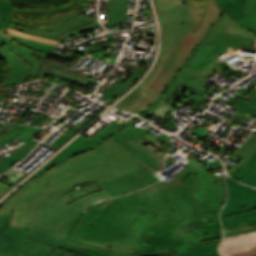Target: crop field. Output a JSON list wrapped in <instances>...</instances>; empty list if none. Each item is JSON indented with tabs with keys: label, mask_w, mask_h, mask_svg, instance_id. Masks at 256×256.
<instances>
[{
	"label": "crop field",
	"mask_w": 256,
	"mask_h": 256,
	"mask_svg": "<svg viewBox=\"0 0 256 256\" xmlns=\"http://www.w3.org/2000/svg\"><path fill=\"white\" fill-rule=\"evenodd\" d=\"M248 105L249 103L238 100V102L232 107V109L236 110L234 114L253 121L254 119H252L251 117L253 116L252 114L256 111V108L250 107Z\"/></svg>",
	"instance_id": "obj_31"
},
{
	"label": "crop field",
	"mask_w": 256,
	"mask_h": 256,
	"mask_svg": "<svg viewBox=\"0 0 256 256\" xmlns=\"http://www.w3.org/2000/svg\"><path fill=\"white\" fill-rule=\"evenodd\" d=\"M80 209L73 204L67 206L50 195L40 204L35 213L33 230L62 238L72 217Z\"/></svg>",
	"instance_id": "obj_9"
},
{
	"label": "crop field",
	"mask_w": 256,
	"mask_h": 256,
	"mask_svg": "<svg viewBox=\"0 0 256 256\" xmlns=\"http://www.w3.org/2000/svg\"><path fill=\"white\" fill-rule=\"evenodd\" d=\"M60 253H62V254H60ZM51 256H78V254L55 248V250L51 254Z\"/></svg>",
	"instance_id": "obj_43"
},
{
	"label": "crop field",
	"mask_w": 256,
	"mask_h": 256,
	"mask_svg": "<svg viewBox=\"0 0 256 256\" xmlns=\"http://www.w3.org/2000/svg\"><path fill=\"white\" fill-rule=\"evenodd\" d=\"M14 210L0 216V254L19 256L34 231L10 226Z\"/></svg>",
	"instance_id": "obj_12"
},
{
	"label": "crop field",
	"mask_w": 256,
	"mask_h": 256,
	"mask_svg": "<svg viewBox=\"0 0 256 256\" xmlns=\"http://www.w3.org/2000/svg\"><path fill=\"white\" fill-rule=\"evenodd\" d=\"M256 230V224L251 225L249 227H244V228H238V229H232V230H227L224 231V236H231V235H237V234H242V233H247V232H251V231H255Z\"/></svg>",
	"instance_id": "obj_40"
},
{
	"label": "crop field",
	"mask_w": 256,
	"mask_h": 256,
	"mask_svg": "<svg viewBox=\"0 0 256 256\" xmlns=\"http://www.w3.org/2000/svg\"><path fill=\"white\" fill-rule=\"evenodd\" d=\"M110 194L108 193L107 190H103V191H99V192H95L92 193L86 197H83L75 202H73L74 204L80 206V207H88L96 202L105 200L107 198H110ZM70 204V203H69ZM68 205V204H67Z\"/></svg>",
	"instance_id": "obj_30"
},
{
	"label": "crop field",
	"mask_w": 256,
	"mask_h": 256,
	"mask_svg": "<svg viewBox=\"0 0 256 256\" xmlns=\"http://www.w3.org/2000/svg\"><path fill=\"white\" fill-rule=\"evenodd\" d=\"M255 246L256 231L243 235L223 238L219 246V252L222 256H229L232 254L246 251Z\"/></svg>",
	"instance_id": "obj_19"
},
{
	"label": "crop field",
	"mask_w": 256,
	"mask_h": 256,
	"mask_svg": "<svg viewBox=\"0 0 256 256\" xmlns=\"http://www.w3.org/2000/svg\"><path fill=\"white\" fill-rule=\"evenodd\" d=\"M4 31L15 34V35H18V36L26 37V38H29V39H33V40H36V41L49 43V44H53V45H59L60 43H62V42H58L56 40L46 39V38H43V37H38V36H35V35L20 32V31H17L15 29L8 28V27H6V29Z\"/></svg>",
	"instance_id": "obj_34"
},
{
	"label": "crop field",
	"mask_w": 256,
	"mask_h": 256,
	"mask_svg": "<svg viewBox=\"0 0 256 256\" xmlns=\"http://www.w3.org/2000/svg\"><path fill=\"white\" fill-rule=\"evenodd\" d=\"M79 256H81V255H79Z\"/></svg>",
	"instance_id": "obj_63"
},
{
	"label": "crop field",
	"mask_w": 256,
	"mask_h": 256,
	"mask_svg": "<svg viewBox=\"0 0 256 256\" xmlns=\"http://www.w3.org/2000/svg\"><path fill=\"white\" fill-rule=\"evenodd\" d=\"M210 7L204 18L203 24L200 26L196 33H192L201 23L203 10H193L187 5L178 6V11L184 22V31L193 35L197 39L201 40L204 38L206 33L210 30L214 22L222 15L221 10L215 5L213 0H208Z\"/></svg>",
	"instance_id": "obj_13"
},
{
	"label": "crop field",
	"mask_w": 256,
	"mask_h": 256,
	"mask_svg": "<svg viewBox=\"0 0 256 256\" xmlns=\"http://www.w3.org/2000/svg\"><path fill=\"white\" fill-rule=\"evenodd\" d=\"M217 245L216 244H209V245H204L202 247H198L196 249L178 254L176 256H201V255H205L211 252H216L217 251Z\"/></svg>",
	"instance_id": "obj_33"
},
{
	"label": "crop field",
	"mask_w": 256,
	"mask_h": 256,
	"mask_svg": "<svg viewBox=\"0 0 256 256\" xmlns=\"http://www.w3.org/2000/svg\"><path fill=\"white\" fill-rule=\"evenodd\" d=\"M245 101H247V102L251 103V104H250V106H254V107H256V103H255V102H251V101H248V100H246V99H245Z\"/></svg>",
	"instance_id": "obj_54"
},
{
	"label": "crop field",
	"mask_w": 256,
	"mask_h": 256,
	"mask_svg": "<svg viewBox=\"0 0 256 256\" xmlns=\"http://www.w3.org/2000/svg\"><path fill=\"white\" fill-rule=\"evenodd\" d=\"M237 25L223 12V15L216 21L184 66L211 74H214L216 69L231 73L240 72L238 69H232L227 64L221 63L216 58L233 48L256 51V49L250 48L254 39L241 37L242 34L239 33L225 32L226 27Z\"/></svg>",
	"instance_id": "obj_6"
},
{
	"label": "crop field",
	"mask_w": 256,
	"mask_h": 256,
	"mask_svg": "<svg viewBox=\"0 0 256 256\" xmlns=\"http://www.w3.org/2000/svg\"><path fill=\"white\" fill-rule=\"evenodd\" d=\"M54 250V247H51L49 245H45V247L40 252L39 256H49L52 251Z\"/></svg>",
	"instance_id": "obj_44"
},
{
	"label": "crop field",
	"mask_w": 256,
	"mask_h": 256,
	"mask_svg": "<svg viewBox=\"0 0 256 256\" xmlns=\"http://www.w3.org/2000/svg\"><path fill=\"white\" fill-rule=\"evenodd\" d=\"M209 5L207 6V9H208ZM207 11V10H206Z\"/></svg>",
	"instance_id": "obj_59"
},
{
	"label": "crop field",
	"mask_w": 256,
	"mask_h": 256,
	"mask_svg": "<svg viewBox=\"0 0 256 256\" xmlns=\"http://www.w3.org/2000/svg\"><path fill=\"white\" fill-rule=\"evenodd\" d=\"M206 75V73L183 66L160 99L166 102L180 84L190 89L196 88Z\"/></svg>",
	"instance_id": "obj_18"
},
{
	"label": "crop field",
	"mask_w": 256,
	"mask_h": 256,
	"mask_svg": "<svg viewBox=\"0 0 256 256\" xmlns=\"http://www.w3.org/2000/svg\"><path fill=\"white\" fill-rule=\"evenodd\" d=\"M12 2L0 0V26L8 16L11 9Z\"/></svg>",
	"instance_id": "obj_39"
},
{
	"label": "crop field",
	"mask_w": 256,
	"mask_h": 256,
	"mask_svg": "<svg viewBox=\"0 0 256 256\" xmlns=\"http://www.w3.org/2000/svg\"><path fill=\"white\" fill-rule=\"evenodd\" d=\"M33 54L35 53L12 43L1 50L0 56L7 61L8 70L6 78L0 87L10 83H22L29 75L36 76L38 73V62L35 56H32ZM39 56L47 57V55L43 54Z\"/></svg>",
	"instance_id": "obj_10"
},
{
	"label": "crop field",
	"mask_w": 256,
	"mask_h": 256,
	"mask_svg": "<svg viewBox=\"0 0 256 256\" xmlns=\"http://www.w3.org/2000/svg\"><path fill=\"white\" fill-rule=\"evenodd\" d=\"M253 254H256V247L251 249V250H248L246 252L239 253V254L232 255V256H250V255H253Z\"/></svg>",
	"instance_id": "obj_47"
},
{
	"label": "crop field",
	"mask_w": 256,
	"mask_h": 256,
	"mask_svg": "<svg viewBox=\"0 0 256 256\" xmlns=\"http://www.w3.org/2000/svg\"><path fill=\"white\" fill-rule=\"evenodd\" d=\"M215 102H218V103H220V104H222V105H224V106L229 103V101L224 100V99H222V98H220V97H218V98L215 100Z\"/></svg>",
	"instance_id": "obj_49"
},
{
	"label": "crop field",
	"mask_w": 256,
	"mask_h": 256,
	"mask_svg": "<svg viewBox=\"0 0 256 256\" xmlns=\"http://www.w3.org/2000/svg\"><path fill=\"white\" fill-rule=\"evenodd\" d=\"M187 128V127H186ZM189 129V128H188ZM190 130H192V129H190ZM192 131H194V132H196L197 133V135H199L200 137H205V136H207L208 134H209V132H207L206 130H204V129H202V128H200V129H198L197 131H195V130H192Z\"/></svg>",
	"instance_id": "obj_48"
},
{
	"label": "crop field",
	"mask_w": 256,
	"mask_h": 256,
	"mask_svg": "<svg viewBox=\"0 0 256 256\" xmlns=\"http://www.w3.org/2000/svg\"><path fill=\"white\" fill-rule=\"evenodd\" d=\"M159 179L162 178L146 166L130 174L103 183V185L112 197H115L158 182L160 181Z\"/></svg>",
	"instance_id": "obj_14"
},
{
	"label": "crop field",
	"mask_w": 256,
	"mask_h": 256,
	"mask_svg": "<svg viewBox=\"0 0 256 256\" xmlns=\"http://www.w3.org/2000/svg\"><path fill=\"white\" fill-rule=\"evenodd\" d=\"M195 31H197V30H195ZM195 31H194V32H195Z\"/></svg>",
	"instance_id": "obj_62"
},
{
	"label": "crop field",
	"mask_w": 256,
	"mask_h": 256,
	"mask_svg": "<svg viewBox=\"0 0 256 256\" xmlns=\"http://www.w3.org/2000/svg\"><path fill=\"white\" fill-rule=\"evenodd\" d=\"M157 14L163 32L161 53L155 69L142 84L160 98L177 71L201 41L183 31V22L177 9Z\"/></svg>",
	"instance_id": "obj_5"
},
{
	"label": "crop field",
	"mask_w": 256,
	"mask_h": 256,
	"mask_svg": "<svg viewBox=\"0 0 256 256\" xmlns=\"http://www.w3.org/2000/svg\"><path fill=\"white\" fill-rule=\"evenodd\" d=\"M158 100L157 97L144 90L141 84L132 91L125 99L118 103L116 108L123 109L141 115L145 110ZM129 108V109H128Z\"/></svg>",
	"instance_id": "obj_17"
},
{
	"label": "crop field",
	"mask_w": 256,
	"mask_h": 256,
	"mask_svg": "<svg viewBox=\"0 0 256 256\" xmlns=\"http://www.w3.org/2000/svg\"><path fill=\"white\" fill-rule=\"evenodd\" d=\"M43 246V243L29 240L20 256H37Z\"/></svg>",
	"instance_id": "obj_35"
},
{
	"label": "crop field",
	"mask_w": 256,
	"mask_h": 256,
	"mask_svg": "<svg viewBox=\"0 0 256 256\" xmlns=\"http://www.w3.org/2000/svg\"><path fill=\"white\" fill-rule=\"evenodd\" d=\"M88 209V208H87ZM87 209H81L72 219L65 235H64V239H70L75 227H76V222L79 220V218L86 212Z\"/></svg>",
	"instance_id": "obj_38"
},
{
	"label": "crop field",
	"mask_w": 256,
	"mask_h": 256,
	"mask_svg": "<svg viewBox=\"0 0 256 256\" xmlns=\"http://www.w3.org/2000/svg\"><path fill=\"white\" fill-rule=\"evenodd\" d=\"M245 98L251 100V101H255L256 102V89H252L246 96Z\"/></svg>",
	"instance_id": "obj_46"
},
{
	"label": "crop field",
	"mask_w": 256,
	"mask_h": 256,
	"mask_svg": "<svg viewBox=\"0 0 256 256\" xmlns=\"http://www.w3.org/2000/svg\"><path fill=\"white\" fill-rule=\"evenodd\" d=\"M193 159L188 161L190 165H192L193 167H195L196 169L205 165L203 164L201 161H199L197 158L192 157Z\"/></svg>",
	"instance_id": "obj_45"
},
{
	"label": "crop field",
	"mask_w": 256,
	"mask_h": 256,
	"mask_svg": "<svg viewBox=\"0 0 256 256\" xmlns=\"http://www.w3.org/2000/svg\"><path fill=\"white\" fill-rule=\"evenodd\" d=\"M103 189H105V188L103 187L102 184L96 183V184L88 185V186L81 187V188L75 189L73 191H70L57 199H59L60 201H62L63 203L66 204L68 202L77 200L83 196H86L92 192L103 190Z\"/></svg>",
	"instance_id": "obj_27"
},
{
	"label": "crop field",
	"mask_w": 256,
	"mask_h": 256,
	"mask_svg": "<svg viewBox=\"0 0 256 256\" xmlns=\"http://www.w3.org/2000/svg\"><path fill=\"white\" fill-rule=\"evenodd\" d=\"M248 57H250V58H254V57H252V56H248Z\"/></svg>",
	"instance_id": "obj_58"
},
{
	"label": "crop field",
	"mask_w": 256,
	"mask_h": 256,
	"mask_svg": "<svg viewBox=\"0 0 256 256\" xmlns=\"http://www.w3.org/2000/svg\"><path fill=\"white\" fill-rule=\"evenodd\" d=\"M38 130V128L25 125H14L0 138V146H3L17 138L26 143Z\"/></svg>",
	"instance_id": "obj_21"
},
{
	"label": "crop field",
	"mask_w": 256,
	"mask_h": 256,
	"mask_svg": "<svg viewBox=\"0 0 256 256\" xmlns=\"http://www.w3.org/2000/svg\"><path fill=\"white\" fill-rule=\"evenodd\" d=\"M197 172H198V175L196 178L200 182L207 198L209 199V201L211 202V204L213 205L214 208L219 206L220 203L218 200V195L216 193L214 184H213L208 172L206 171L204 166L197 169Z\"/></svg>",
	"instance_id": "obj_23"
},
{
	"label": "crop field",
	"mask_w": 256,
	"mask_h": 256,
	"mask_svg": "<svg viewBox=\"0 0 256 256\" xmlns=\"http://www.w3.org/2000/svg\"><path fill=\"white\" fill-rule=\"evenodd\" d=\"M245 14L247 18L238 22L256 33V0H248L245 5Z\"/></svg>",
	"instance_id": "obj_29"
},
{
	"label": "crop field",
	"mask_w": 256,
	"mask_h": 256,
	"mask_svg": "<svg viewBox=\"0 0 256 256\" xmlns=\"http://www.w3.org/2000/svg\"><path fill=\"white\" fill-rule=\"evenodd\" d=\"M0 36L5 37V38H8V39H10V40H12V38H13V36L8 35V34H5V33H3V32H0Z\"/></svg>",
	"instance_id": "obj_51"
},
{
	"label": "crop field",
	"mask_w": 256,
	"mask_h": 256,
	"mask_svg": "<svg viewBox=\"0 0 256 256\" xmlns=\"http://www.w3.org/2000/svg\"><path fill=\"white\" fill-rule=\"evenodd\" d=\"M119 145L110 138L95 150L73 157L24 184L4 204L0 215L13 206L16 210L11 225L32 230L35 210L48 195L57 198L76 185L95 180L103 183L145 166Z\"/></svg>",
	"instance_id": "obj_1"
},
{
	"label": "crop field",
	"mask_w": 256,
	"mask_h": 256,
	"mask_svg": "<svg viewBox=\"0 0 256 256\" xmlns=\"http://www.w3.org/2000/svg\"><path fill=\"white\" fill-rule=\"evenodd\" d=\"M170 164H172V162H170L169 160H167L165 167L168 166V165H170Z\"/></svg>",
	"instance_id": "obj_56"
},
{
	"label": "crop field",
	"mask_w": 256,
	"mask_h": 256,
	"mask_svg": "<svg viewBox=\"0 0 256 256\" xmlns=\"http://www.w3.org/2000/svg\"><path fill=\"white\" fill-rule=\"evenodd\" d=\"M128 0H112V7L109 11L107 18H110V22L104 24V26L115 25L123 23L127 10Z\"/></svg>",
	"instance_id": "obj_25"
},
{
	"label": "crop field",
	"mask_w": 256,
	"mask_h": 256,
	"mask_svg": "<svg viewBox=\"0 0 256 256\" xmlns=\"http://www.w3.org/2000/svg\"><path fill=\"white\" fill-rule=\"evenodd\" d=\"M246 1L247 0H218L222 9H224L235 20L245 18L244 4Z\"/></svg>",
	"instance_id": "obj_28"
},
{
	"label": "crop field",
	"mask_w": 256,
	"mask_h": 256,
	"mask_svg": "<svg viewBox=\"0 0 256 256\" xmlns=\"http://www.w3.org/2000/svg\"><path fill=\"white\" fill-rule=\"evenodd\" d=\"M32 240L40 241L45 244L52 245L54 247H58L61 249H65L71 252H75L81 255L85 256H142L140 255H122V254H117V253H111V252H106L86 246H82L79 244H76L71 241H67L64 239H60L48 234L40 233L35 231L33 237L31 238Z\"/></svg>",
	"instance_id": "obj_16"
},
{
	"label": "crop field",
	"mask_w": 256,
	"mask_h": 256,
	"mask_svg": "<svg viewBox=\"0 0 256 256\" xmlns=\"http://www.w3.org/2000/svg\"><path fill=\"white\" fill-rule=\"evenodd\" d=\"M71 7L72 5L68 4L63 7L49 10H15L12 8L8 18L3 22L0 29L4 30V28L8 26L20 31L36 34L46 38L56 39L58 41H63L67 36L99 26L98 21H94L84 15H79L77 12H73L63 17L54 18L47 22H36V25L21 24L17 21L11 20L14 13H47V18H49V15H52L58 11L67 10Z\"/></svg>",
	"instance_id": "obj_7"
},
{
	"label": "crop field",
	"mask_w": 256,
	"mask_h": 256,
	"mask_svg": "<svg viewBox=\"0 0 256 256\" xmlns=\"http://www.w3.org/2000/svg\"><path fill=\"white\" fill-rule=\"evenodd\" d=\"M231 177L256 187V153L234 172Z\"/></svg>",
	"instance_id": "obj_22"
},
{
	"label": "crop field",
	"mask_w": 256,
	"mask_h": 256,
	"mask_svg": "<svg viewBox=\"0 0 256 256\" xmlns=\"http://www.w3.org/2000/svg\"><path fill=\"white\" fill-rule=\"evenodd\" d=\"M226 31L244 33L243 36H245V37L256 38V35L254 33L250 32L249 30H247L241 26L230 27V28H227Z\"/></svg>",
	"instance_id": "obj_42"
},
{
	"label": "crop field",
	"mask_w": 256,
	"mask_h": 256,
	"mask_svg": "<svg viewBox=\"0 0 256 256\" xmlns=\"http://www.w3.org/2000/svg\"><path fill=\"white\" fill-rule=\"evenodd\" d=\"M181 171L169 183L164 180L137 191L162 221L212 209L195 178L196 169L189 165Z\"/></svg>",
	"instance_id": "obj_4"
},
{
	"label": "crop field",
	"mask_w": 256,
	"mask_h": 256,
	"mask_svg": "<svg viewBox=\"0 0 256 256\" xmlns=\"http://www.w3.org/2000/svg\"><path fill=\"white\" fill-rule=\"evenodd\" d=\"M0 42L3 43L4 45H6L7 43L10 42V40L0 37Z\"/></svg>",
	"instance_id": "obj_52"
},
{
	"label": "crop field",
	"mask_w": 256,
	"mask_h": 256,
	"mask_svg": "<svg viewBox=\"0 0 256 256\" xmlns=\"http://www.w3.org/2000/svg\"><path fill=\"white\" fill-rule=\"evenodd\" d=\"M37 142L32 141L31 139L23 146V148L19 149L15 154L3 159L0 161V169L7 171L12 168L14 165L11 163L16 159L22 160L24 159L37 145Z\"/></svg>",
	"instance_id": "obj_26"
},
{
	"label": "crop field",
	"mask_w": 256,
	"mask_h": 256,
	"mask_svg": "<svg viewBox=\"0 0 256 256\" xmlns=\"http://www.w3.org/2000/svg\"><path fill=\"white\" fill-rule=\"evenodd\" d=\"M136 117H133L135 119ZM131 120V121H132ZM126 120L114 119L110 124H108L103 130H101L95 137L91 140L79 136L77 137L71 144H69L65 149H63L55 158L51 159L45 166H43L39 171H37L34 176L39 175L40 173L50 169L60 161L66 159L69 156L78 154L87 149H92L106 138H108L111 134H113L116 130L120 129L125 124L131 122Z\"/></svg>",
	"instance_id": "obj_11"
},
{
	"label": "crop field",
	"mask_w": 256,
	"mask_h": 256,
	"mask_svg": "<svg viewBox=\"0 0 256 256\" xmlns=\"http://www.w3.org/2000/svg\"><path fill=\"white\" fill-rule=\"evenodd\" d=\"M220 208L147 227L140 234L134 254L172 256L204 245L201 241L222 237Z\"/></svg>",
	"instance_id": "obj_3"
},
{
	"label": "crop field",
	"mask_w": 256,
	"mask_h": 256,
	"mask_svg": "<svg viewBox=\"0 0 256 256\" xmlns=\"http://www.w3.org/2000/svg\"><path fill=\"white\" fill-rule=\"evenodd\" d=\"M205 256H220V255L218 254V252H216V253H211V254H208V255H205Z\"/></svg>",
	"instance_id": "obj_53"
},
{
	"label": "crop field",
	"mask_w": 256,
	"mask_h": 256,
	"mask_svg": "<svg viewBox=\"0 0 256 256\" xmlns=\"http://www.w3.org/2000/svg\"><path fill=\"white\" fill-rule=\"evenodd\" d=\"M129 89L130 87L119 82L115 87L111 85L102 97L112 99L114 95L121 96Z\"/></svg>",
	"instance_id": "obj_37"
},
{
	"label": "crop field",
	"mask_w": 256,
	"mask_h": 256,
	"mask_svg": "<svg viewBox=\"0 0 256 256\" xmlns=\"http://www.w3.org/2000/svg\"><path fill=\"white\" fill-rule=\"evenodd\" d=\"M140 120L141 119H138L135 122L131 123L130 125H128L124 129L119 131L117 134H115L111 138H113L114 140H116L118 143L121 144L119 147L132 153L134 156H136L138 159L144 162L151 169H153L154 171H157L161 169L163 166L127 141L131 139L144 137L147 135L146 132L149 131L151 128H153L149 125L142 130L139 127L138 128L134 127L133 125L139 122Z\"/></svg>",
	"instance_id": "obj_15"
},
{
	"label": "crop field",
	"mask_w": 256,
	"mask_h": 256,
	"mask_svg": "<svg viewBox=\"0 0 256 256\" xmlns=\"http://www.w3.org/2000/svg\"><path fill=\"white\" fill-rule=\"evenodd\" d=\"M5 126H7V125H2V126L0 127V133L3 132V129H4Z\"/></svg>",
	"instance_id": "obj_55"
},
{
	"label": "crop field",
	"mask_w": 256,
	"mask_h": 256,
	"mask_svg": "<svg viewBox=\"0 0 256 256\" xmlns=\"http://www.w3.org/2000/svg\"><path fill=\"white\" fill-rule=\"evenodd\" d=\"M253 256H256V255H253Z\"/></svg>",
	"instance_id": "obj_61"
},
{
	"label": "crop field",
	"mask_w": 256,
	"mask_h": 256,
	"mask_svg": "<svg viewBox=\"0 0 256 256\" xmlns=\"http://www.w3.org/2000/svg\"><path fill=\"white\" fill-rule=\"evenodd\" d=\"M190 6V5H189ZM192 7V6H191ZM192 8H194V7H192ZM194 9H205V8H194Z\"/></svg>",
	"instance_id": "obj_57"
},
{
	"label": "crop field",
	"mask_w": 256,
	"mask_h": 256,
	"mask_svg": "<svg viewBox=\"0 0 256 256\" xmlns=\"http://www.w3.org/2000/svg\"><path fill=\"white\" fill-rule=\"evenodd\" d=\"M156 11H164L175 9L176 6L181 5V0H154Z\"/></svg>",
	"instance_id": "obj_36"
},
{
	"label": "crop field",
	"mask_w": 256,
	"mask_h": 256,
	"mask_svg": "<svg viewBox=\"0 0 256 256\" xmlns=\"http://www.w3.org/2000/svg\"><path fill=\"white\" fill-rule=\"evenodd\" d=\"M207 83H208L207 81L203 80V81L201 82V84H200L197 88H199V89H201V90L204 91L205 88L207 87V86H205Z\"/></svg>",
	"instance_id": "obj_50"
},
{
	"label": "crop field",
	"mask_w": 256,
	"mask_h": 256,
	"mask_svg": "<svg viewBox=\"0 0 256 256\" xmlns=\"http://www.w3.org/2000/svg\"><path fill=\"white\" fill-rule=\"evenodd\" d=\"M168 137L166 134H162V136L157 139L150 134L144 138L131 140L130 142L137 146L139 149L144 151L146 154L154 158L160 164L164 165L165 155L167 150L162 148L161 146L168 141ZM153 149H156L155 151Z\"/></svg>",
	"instance_id": "obj_20"
},
{
	"label": "crop field",
	"mask_w": 256,
	"mask_h": 256,
	"mask_svg": "<svg viewBox=\"0 0 256 256\" xmlns=\"http://www.w3.org/2000/svg\"><path fill=\"white\" fill-rule=\"evenodd\" d=\"M0 256H5V255H0Z\"/></svg>",
	"instance_id": "obj_60"
},
{
	"label": "crop field",
	"mask_w": 256,
	"mask_h": 256,
	"mask_svg": "<svg viewBox=\"0 0 256 256\" xmlns=\"http://www.w3.org/2000/svg\"><path fill=\"white\" fill-rule=\"evenodd\" d=\"M161 220L136 193L90 207L77 223L71 241L123 254H133L142 230Z\"/></svg>",
	"instance_id": "obj_2"
},
{
	"label": "crop field",
	"mask_w": 256,
	"mask_h": 256,
	"mask_svg": "<svg viewBox=\"0 0 256 256\" xmlns=\"http://www.w3.org/2000/svg\"><path fill=\"white\" fill-rule=\"evenodd\" d=\"M14 41L40 52L50 54L56 47L15 37Z\"/></svg>",
	"instance_id": "obj_32"
},
{
	"label": "crop field",
	"mask_w": 256,
	"mask_h": 256,
	"mask_svg": "<svg viewBox=\"0 0 256 256\" xmlns=\"http://www.w3.org/2000/svg\"><path fill=\"white\" fill-rule=\"evenodd\" d=\"M256 152V135L252 134L242 146L235 152V154L243 157L244 159L235 165L231 170L228 171L231 175L236 171L242 164H244L254 153Z\"/></svg>",
	"instance_id": "obj_24"
},
{
	"label": "crop field",
	"mask_w": 256,
	"mask_h": 256,
	"mask_svg": "<svg viewBox=\"0 0 256 256\" xmlns=\"http://www.w3.org/2000/svg\"><path fill=\"white\" fill-rule=\"evenodd\" d=\"M215 188L219 195V200L221 202V205H224L226 202V199H227V192H226L225 184L224 183L215 184Z\"/></svg>",
	"instance_id": "obj_41"
},
{
	"label": "crop field",
	"mask_w": 256,
	"mask_h": 256,
	"mask_svg": "<svg viewBox=\"0 0 256 256\" xmlns=\"http://www.w3.org/2000/svg\"><path fill=\"white\" fill-rule=\"evenodd\" d=\"M229 200L220 213L223 229L256 223V190L239 184L226 176Z\"/></svg>",
	"instance_id": "obj_8"
}]
</instances>
